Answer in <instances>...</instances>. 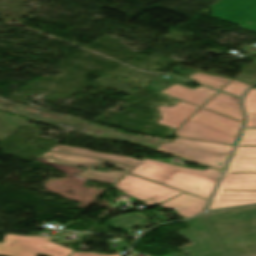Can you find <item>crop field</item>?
<instances>
[{
	"label": "crop field",
	"instance_id": "733c2abd",
	"mask_svg": "<svg viewBox=\"0 0 256 256\" xmlns=\"http://www.w3.org/2000/svg\"><path fill=\"white\" fill-rule=\"evenodd\" d=\"M188 78H192L199 84L209 86L218 90H220L226 84H228L230 81L233 80L228 78L210 76L200 72H196L193 75L189 76Z\"/></svg>",
	"mask_w": 256,
	"mask_h": 256
},
{
	"label": "crop field",
	"instance_id": "d8731c3e",
	"mask_svg": "<svg viewBox=\"0 0 256 256\" xmlns=\"http://www.w3.org/2000/svg\"><path fill=\"white\" fill-rule=\"evenodd\" d=\"M197 222L199 227L193 223ZM191 229L179 231L178 233L192 242L191 247L182 248L189 256H214L222 254L214 236L206 223L200 217L187 221Z\"/></svg>",
	"mask_w": 256,
	"mask_h": 256
},
{
	"label": "crop field",
	"instance_id": "d9b57169",
	"mask_svg": "<svg viewBox=\"0 0 256 256\" xmlns=\"http://www.w3.org/2000/svg\"><path fill=\"white\" fill-rule=\"evenodd\" d=\"M145 222L147 221L139 217L138 215L132 213L110 220L108 221V224L111 226V228L121 229L126 233L133 235L129 232V229L134 226L141 225Z\"/></svg>",
	"mask_w": 256,
	"mask_h": 256
},
{
	"label": "crop field",
	"instance_id": "dafd665d",
	"mask_svg": "<svg viewBox=\"0 0 256 256\" xmlns=\"http://www.w3.org/2000/svg\"><path fill=\"white\" fill-rule=\"evenodd\" d=\"M220 256H224V255H220Z\"/></svg>",
	"mask_w": 256,
	"mask_h": 256
},
{
	"label": "crop field",
	"instance_id": "4a817a6b",
	"mask_svg": "<svg viewBox=\"0 0 256 256\" xmlns=\"http://www.w3.org/2000/svg\"><path fill=\"white\" fill-rule=\"evenodd\" d=\"M249 86L250 85L245 84L243 82L233 80L227 86H225L223 89H221V91L227 92V93L235 95L237 97H242L245 90Z\"/></svg>",
	"mask_w": 256,
	"mask_h": 256
},
{
	"label": "crop field",
	"instance_id": "412701ff",
	"mask_svg": "<svg viewBox=\"0 0 256 256\" xmlns=\"http://www.w3.org/2000/svg\"><path fill=\"white\" fill-rule=\"evenodd\" d=\"M242 124L200 108L174 134L176 137L233 145Z\"/></svg>",
	"mask_w": 256,
	"mask_h": 256
},
{
	"label": "crop field",
	"instance_id": "cbeb9de0",
	"mask_svg": "<svg viewBox=\"0 0 256 256\" xmlns=\"http://www.w3.org/2000/svg\"><path fill=\"white\" fill-rule=\"evenodd\" d=\"M240 99L218 92L202 108L228 116L243 122V114L239 106Z\"/></svg>",
	"mask_w": 256,
	"mask_h": 256
},
{
	"label": "crop field",
	"instance_id": "5142ce71",
	"mask_svg": "<svg viewBox=\"0 0 256 256\" xmlns=\"http://www.w3.org/2000/svg\"><path fill=\"white\" fill-rule=\"evenodd\" d=\"M218 189L256 190V173H226Z\"/></svg>",
	"mask_w": 256,
	"mask_h": 256
},
{
	"label": "crop field",
	"instance_id": "e52e79f7",
	"mask_svg": "<svg viewBox=\"0 0 256 256\" xmlns=\"http://www.w3.org/2000/svg\"><path fill=\"white\" fill-rule=\"evenodd\" d=\"M113 187L142 200L149 207L183 193L128 174H126Z\"/></svg>",
	"mask_w": 256,
	"mask_h": 256
},
{
	"label": "crop field",
	"instance_id": "d1516ede",
	"mask_svg": "<svg viewBox=\"0 0 256 256\" xmlns=\"http://www.w3.org/2000/svg\"><path fill=\"white\" fill-rule=\"evenodd\" d=\"M160 93L201 107L213 95H215L217 91L211 90L203 86H200L196 89H190L180 86L178 84H174L164 89Z\"/></svg>",
	"mask_w": 256,
	"mask_h": 256
},
{
	"label": "crop field",
	"instance_id": "22f410ed",
	"mask_svg": "<svg viewBox=\"0 0 256 256\" xmlns=\"http://www.w3.org/2000/svg\"><path fill=\"white\" fill-rule=\"evenodd\" d=\"M162 119L157 123L176 130L185 122L199 107L180 101L173 107H157Z\"/></svg>",
	"mask_w": 256,
	"mask_h": 256
},
{
	"label": "crop field",
	"instance_id": "92a150f3",
	"mask_svg": "<svg viewBox=\"0 0 256 256\" xmlns=\"http://www.w3.org/2000/svg\"><path fill=\"white\" fill-rule=\"evenodd\" d=\"M71 256H107V255H101L96 253H77L74 252Z\"/></svg>",
	"mask_w": 256,
	"mask_h": 256
},
{
	"label": "crop field",
	"instance_id": "34b2d1b8",
	"mask_svg": "<svg viewBox=\"0 0 256 256\" xmlns=\"http://www.w3.org/2000/svg\"><path fill=\"white\" fill-rule=\"evenodd\" d=\"M41 157L53 163L87 168L82 171L78 177L111 184H115L137 163L141 162L131 158L93 153L84 149H76L60 145L49 150V152H46ZM102 162L116 164V167H120L125 171L100 172L91 170Z\"/></svg>",
	"mask_w": 256,
	"mask_h": 256
},
{
	"label": "crop field",
	"instance_id": "8a807250",
	"mask_svg": "<svg viewBox=\"0 0 256 256\" xmlns=\"http://www.w3.org/2000/svg\"><path fill=\"white\" fill-rule=\"evenodd\" d=\"M225 256H256V206L202 215Z\"/></svg>",
	"mask_w": 256,
	"mask_h": 256
},
{
	"label": "crop field",
	"instance_id": "ac0d7876",
	"mask_svg": "<svg viewBox=\"0 0 256 256\" xmlns=\"http://www.w3.org/2000/svg\"><path fill=\"white\" fill-rule=\"evenodd\" d=\"M135 167L130 174L150 179L207 200L221 173L213 169L205 171L187 169L150 159H144Z\"/></svg>",
	"mask_w": 256,
	"mask_h": 256
},
{
	"label": "crop field",
	"instance_id": "28ad6ade",
	"mask_svg": "<svg viewBox=\"0 0 256 256\" xmlns=\"http://www.w3.org/2000/svg\"><path fill=\"white\" fill-rule=\"evenodd\" d=\"M256 203V191L217 190L208 210Z\"/></svg>",
	"mask_w": 256,
	"mask_h": 256
},
{
	"label": "crop field",
	"instance_id": "f4fd0767",
	"mask_svg": "<svg viewBox=\"0 0 256 256\" xmlns=\"http://www.w3.org/2000/svg\"><path fill=\"white\" fill-rule=\"evenodd\" d=\"M232 147L230 145L175 138L171 143H162L155 151L223 170Z\"/></svg>",
	"mask_w": 256,
	"mask_h": 256
},
{
	"label": "crop field",
	"instance_id": "5a996713",
	"mask_svg": "<svg viewBox=\"0 0 256 256\" xmlns=\"http://www.w3.org/2000/svg\"><path fill=\"white\" fill-rule=\"evenodd\" d=\"M226 172H256V129H244Z\"/></svg>",
	"mask_w": 256,
	"mask_h": 256
},
{
	"label": "crop field",
	"instance_id": "bc2a9ffb",
	"mask_svg": "<svg viewBox=\"0 0 256 256\" xmlns=\"http://www.w3.org/2000/svg\"><path fill=\"white\" fill-rule=\"evenodd\" d=\"M246 112H256V89H251L243 102Z\"/></svg>",
	"mask_w": 256,
	"mask_h": 256
},
{
	"label": "crop field",
	"instance_id": "dd49c442",
	"mask_svg": "<svg viewBox=\"0 0 256 256\" xmlns=\"http://www.w3.org/2000/svg\"><path fill=\"white\" fill-rule=\"evenodd\" d=\"M42 236H21L6 234L0 244L1 256H70L73 250L49 242Z\"/></svg>",
	"mask_w": 256,
	"mask_h": 256
},
{
	"label": "crop field",
	"instance_id": "214f88e0",
	"mask_svg": "<svg viewBox=\"0 0 256 256\" xmlns=\"http://www.w3.org/2000/svg\"><path fill=\"white\" fill-rule=\"evenodd\" d=\"M247 114V125L246 127H256V113Z\"/></svg>",
	"mask_w": 256,
	"mask_h": 256
},
{
	"label": "crop field",
	"instance_id": "3316defc",
	"mask_svg": "<svg viewBox=\"0 0 256 256\" xmlns=\"http://www.w3.org/2000/svg\"><path fill=\"white\" fill-rule=\"evenodd\" d=\"M207 203V200H203L184 193L157 206L170 210H175L177 215L190 218L196 214L202 213Z\"/></svg>",
	"mask_w": 256,
	"mask_h": 256
}]
</instances>
